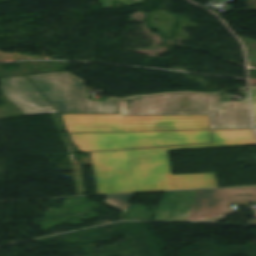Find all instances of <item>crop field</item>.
Wrapping results in <instances>:
<instances>
[{
  "mask_svg": "<svg viewBox=\"0 0 256 256\" xmlns=\"http://www.w3.org/2000/svg\"><path fill=\"white\" fill-rule=\"evenodd\" d=\"M117 100V115L61 114L68 133L251 128L248 99L220 102L218 95L165 94ZM129 99V100H132Z\"/></svg>",
  "mask_w": 256,
  "mask_h": 256,
  "instance_id": "ac0d7876",
  "label": "crop field"
},
{
  "mask_svg": "<svg viewBox=\"0 0 256 256\" xmlns=\"http://www.w3.org/2000/svg\"><path fill=\"white\" fill-rule=\"evenodd\" d=\"M80 152L90 153L99 194L218 187L215 173L172 175L168 151L256 145L252 129L70 135Z\"/></svg>",
  "mask_w": 256,
  "mask_h": 256,
  "instance_id": "8a807250",
  "label": "crop field"
},
{
  "mask_svg": "<svg viewBox=\"0 0 256 256\" xmlns=\"http://www.w3.org/2000/svg\"><path fill=\"white\" fill-rule=\"evenodd\" d=\"M249 225H256V221H247Z\"/></svg>",
  "mask_w": 256,
  "mask_h": 256,
  "instance_id": "3316defc",
  "label": "crop field"
},
{
  "mask_svg": "<svg viewBox=\"0 0 256 256\" xmlns=\"http://www.w3.org/2000/svg\"><path fill=\"white\" fill-rule=\"evenodd\" d=\"M254 123H256V87L251 88Z\"/></svg>",
  "mask_w": 256,
  "mask_h": 256,
  "instance_id": "d8731c3e",
  "label": "crop field"
},
{
  "mask_svg": "<svg viewBox=\"0 0 256 256\" xmlns=\"http://www.w3.org/2000/svg\"><path fill=\"white\" fill-rule=\"evenodd\" d=\"M111 1L113 0H100V2L103 3V8L111 7ZM119 1H122L127 6L144 2L143 0H119Z\"/></svg>",
  "mask_w": 256,
  "mask_h": 256,
  "instance_id": "e52e79f7",
  "label": "crop field"
},
{
  "mask_svg": "<svg viewBox=\"0 0 256 256\" xmlns=\"http://www.w3.org/2000/svg\"><path fill=\"white\" fill-rule=\"evenodd\" d=\"M29 77L61 113H117L114 99L93 103L86 96V82L67 73ZM25 76L1 79V92L25 115L59 113Z\"/></svg>",
  "mask_w": 256,
  "mask_h": 256,
  "instance_id": "34b2d1b8",
  "label": "crop field"
},
{
  "mask_svg": "<svg viewBox=\"0 0 256 256\" xmlns=\"http://www.w3.org/2000/svg\"><path fill=\"white\" fill-rule=\"evenodd\" d=\"M134 194L107 196L106 202L117 208L127 211Z\"/></svg>",
  "mask_w": 256,
  "mask_h": 256,
  "instance_id": "dd49c442",
  "label": "crop field"
},
{
  "mask_svg": "<svg viewBox=\"0 0 256 256\" xmlns=\"http://www.w3.org/2000/svg\"><path fill=\"white\" fill-rule=\"evenodd\" d=\"M222 219H225V216L220 217V218H217V219H214V220H211V222H217V221H220V220H222Z\"/></svg>",
  "mask_w": 256,
  "mask_h": 256,
  "instance_id": "5a996713",
  "label": "crop field"
},
{
  "mask_svg": "<svg viewBox=\"0 0 256 256\" xmlns=\"http://www.w3.org/2000/svg\"><path fill=\"white\" fill-rule=\"evenodd\" d=\"M256 202V187L198 191L187 221H204L233 212L230 203Z\"/></svg>",
  "mask_w": 256,
  "mask_h": 256,
  "instance_id": "412701ff",
  "label": "crop field"
},
{
  "mask_svg": "<svg viewBox=\"0 0 256 256\" xmlns=\"http://www.w3.org/2000/svg\"><path fill=\"white\" fill-rule=\"evenodd\" d=\"M196 192L166 193L155 220L186 221Z\"/></svg>",
  "mask_w": 256,
  "mask_h": 256,
  "instance_id": "f4fd0767",
  "label": "crop field"
}]
</instances>
